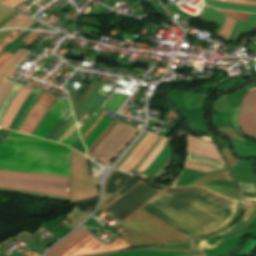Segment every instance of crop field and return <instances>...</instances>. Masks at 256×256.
<instances>
[{"instance_id": "7", "label": "crop field", "mask_w": 256, "mask_h": 256, "mask_svg": "<svg viewBox=\"0 0 256 256\" xmlns=\"http://www.w3.org/2000/svg\"><path fill=\"white\" fill-rule=\"evenodd\" d=\"M137 131L138 129L121 124L116 132L99 148L91 159L108 165L133 138Z\"/></svg>"}, {"instance_id": "27", "label": "crop field", "mask_w": 256, "mask_h": 256, "mask_svg": "<svg viewBox=\"0 0 256 256\" xmlns=\"http://www.w3.org/2000/svg\"><path fill=\"white\" fill-rule=\"evenodd\" d=\"M238 110H239V107L230 111L229 114H230V119H231V122H232L235 130L239 134V131H238V128H237V125H236V115H237Z\"/></svg>"}, {"instance_id": "37", "label": "crop field", "mask_w": 256, "mask_h": 256, "mask_svg": "<svg viewBox=\"0 0 256 256\" xmlns=\"http://www.w3.org/2000/svg\"><path fill=\"white\" fill-rule=\"evenodd\" d=\"M13 54H9L1 63L0 68L3 66V64L12 56Z\"/></svg>"}, {"instance_id": "41", "label": "crop field", "mask_w": 256, "mask_h": 256, "mask_svg": "<svg viewBox=\"0 0 256 256\" xmlns=\"http://www.w3.org/2000/svg\"><path fill=\"white\" fill-rule=\"evenodd\" d=\"M3 53H4V52H3V51H1V52H0V56H1Z\"/></svg>"}, {"instance_id": "24", "label": "crop field", "mask_w": 256, "mask_h": 256, "mask_svg": "<svg viewBox=\"0 0 256 256\" xmlns=\"http://www.w3.org/2000/svg\"><path fill=\"white\" fill-rule=\"evenodd\" d=\"M80 139L78 131L76 130L75 132H73L69 138L63 142V144H66L68 146H72L74 143H76L78 140Z\"/></svg>"}, {"instance_id": "26", "label": "crop field", "mask_w": 256, "mask_h": 256, "mask_svg": "<svg viewBox=\"0 0 256 256\" xmlns=\"http://www.w3.org/2000/svg\"><path fill=\"white\" fill-rule=\"evenodd\" d=\"M42 94V92L39 91V93L36 95V97L33 99V101L31 102V104L29 105V107L27 108L25 114L23 115L16 131H18L19 127L21 126L22 122L24 121L25 117L27 116L29 110L31 109V107L34 105V103L36 102V100L40 97V95Z\"/></svg>"}, {"instance_id": "11", "label": "crop field", "mask_w": 256, "mask_h": 256, "mask_svg": "<svg viewBox=\"0 0 256 256\" xmlns=\"http://www.w3.org/2000/svg\"><path fill=\"white\" fill-rule=\"evenodd\" d=\"M158 136L147 133L146 136L141 140L137 147L132 153L126 158V160L120 165L118 170L129 171L135 164L143 157L146 151L152 146Z\"/></svg>"}, {"instance_id": "4", "label": "crop field", "mask_w": 256, "mask_h": 256, "mask_svg": "<svg viewBox=\"0 0 256 256\" xmlns=\"http://www.w3.org/2000/svg\"><path fill=\"white\" fill-rule=\"evenodd\" d=\"M130 246L132 245L120 238L106 245L96 240L95 237L82 228H79L68 238L52 248L46 256H87L122 250Z\"/></svg>"}, {"instance_id": "6", "label": "crop field", "mask_w": 256, "mask_h": 256, "mask_svg": "<svg viewBox=\"0 0 256 256\" xmlns=\"http://www.w3.org/2000/svg\"><path fill=\"white\" fill-rule=\"evenodd\" d=\"M158 192L141 181L103 212L122 221Z\"/></svg>"}, {"instance_id": "42", "label": "crop field", "mask_w": 256, "mask_h": 256, "mask_svg": "<svg viewBox=\"0 0 256 256\" xmlns=\"http://www.w3.org/2000/svg\"><path fill=\"white\" fill-rule=\"evenodd\" d=\"M3 0H0V2H2Z\"/></svg>"}, {"instance_id": "20", "label": "crop field", "mask_w": 256, "mask_h": 256, "mask_svg": "<svg viewBox=\"0 0 256 256\" xmlns=\"http://www.w3.org/2000/svg\"><path fill=\"white\" fill-rule=\"evenodd\" d=\"M235 22H236L235 20L226 18L221 30L218 32V35L223 36L225 39L228 40Z\"/></svg>"}, {"instance_id": "32", "label": "crop field", "mask_w": 256, "mask_h": 256, "mask_svg": "<svg viewBox=\"0 0 256 256\" xmlns=\"http://www.w3.org/2000/svg\"><path fill=\"white\" fill-rule=\"evenodd\" d=\"M105 113V111L103 110L99 119L95 122V124L86 132V134L81 138L82 141L85 139V137L90 133V131L96 126V124L100 121L101 117L103 116V114Z\"/></svg>"}, {"instance_id": "40", "label": "crop field", "mask_w": 256, "mask_h": 256, "mask_svg": "<svg viewBox=\"0 0 256 256\" xmlns=\"http://www.w3.org/2000/svg\"><path fill=\"white\" fill-rule=\"evenodd\" d=\"M8 55V53H4L1 57H0V62Z\"/></svg>"}, {"instance_id": "28", "label": "crop field", "mask_w": 256, "mask_h": 256, "mask_svg": "<svg viewBox=\"0 0 256 256\" xmlns=\"http://www.w3.org/2000/svg\"><path fill=\"white\" fill-rule=\"evenodd\" d=\"M101 112V109H99L96 116L89 122V124L80 132L81 136L93 125V123L97 120L99 114Z\"/></svg>"}, {"instance_id": "13", "label": "crop field", "mask_w": 256, "mask_h": 256, "mask_svg": "<svg viewBox=\"0 0 256 256\" xmlns=\"http://www.w3.org/2000/svg\"><path fill=\"white\" fill-rule=\"evenodd\" d=\"M70 107L69 100L65 103L57 101L56 104L52 107L47 117L38 127L34 136L43 138L49 128L53 125V123L61 116V114Z\"/></svg>"}, {"instance_id": "10", "label": "crop field", "mask_w": 256, "mask_h": 256, "mask_svg": "<svg viewBox=\"0 0 256 256\" xmlns=\"http://www.w3.org/2000/svg\"><path fill=\"white\" fill-rule=\"evenodd\" d=\"M187 139L199 142V143H196V142L187 141V151H190V152L195 151V152L219 155V153L216 150L214 144L206 143V142H203V141H200L198 139H195V138H192V137H188V136H187ZM219 159H220L222 164H221V166L219 168H216V169L205 167V166H201V165H197V164H193V163H189V162L186 163L185 167L186 168L195 169V170L210 172V171H213V170L220 169L224 165V163H223L222 159L220 158V156H219ZM188 161H190V160H188Z\"/></svg>"}, {"instance_id": "30", "label": "crop field", "mask_w": 256, "mask_h": 256, "mask_svg": "<svg viewBox=\"0 0 256 256\" xmlns=\"http://www.w3.org/2000/svg\"><path fill=\"white\" fill-rule=\"evenodd\" d=\"M13 12L9 11V10H5V9H0V22L5 19L6 17H8L9 15H11Z\"/></svg>"}, {"instance_id": "19", "label": "crop field", "mask_w": 256, "mask_h": 256, "mask_svg": "<svg viewBox=\"0 0 256 256\" xmlns=\"http://www.w3.org/2000/svg\"><path fill=\"white\" fill-rule=\"evenodd\" d=\"M35 20L24 17L20 14L15 16L12 20L6 23L3 27H24L28 28L31 24H33ZM1 27V28H3Z\"/></svg>"}, {"instance_id": "1", "label": "crop field", "mask_w": 256, "mask_h": 256, "mask_svg": "<svg viewBox=\"0 0 256 256\" xmlns=\"http://www.w3.org/2000/svg\"><path fill=\"white\" fill-rule=\"evenodd\" d=\"M0 169L70 177V149L8 131L0 144Z\"/></svg>"}, {"instance_id": "36", "label": "crop field", "mask_w": 256, "mask_h": 256, "mask_svg": "<svg viewBox=\"0 0 256 256\" xmlns=\"http://www.w3.org/2000/svg\"><path fill=\"white\" fill-rule=\"evenodd\" d=\"M40 33L36 32L26 43L29 45Z\"/></svg>"}, {"instance_id": "17", "label": "crop field", "mask_w": 256, "mask_h": 256, "mask_svg": "<svg viewBox=\"0 0 256 256\" xmlns=\"http://www.w3.org/2000/svg\"><path fill=\"white\" fill-rule=\"evenodd\" d=\"M204 5L225 8V9H231V10H237V11L256 13V7H253V6L227 4V3L215 2V1H210V0H204Z\"/></svg>"}, {"instance_id": "14", "label": "crop field", "mask_w": 256, "mask_h": 256, "mask_svg": "<svg viewBox=\"0 0 256 256\" xmlns=\"http://www.w3.org/2000/svg\"><path fill=\"white\" fill-rule=\"evenodd\" d=\"M27 87L23 86L21 88V90L17 93L15 98L13 99L12 103L8 107V109H7L5 115H4V117H3V119L0 123L1 127H4L6 129L9 128V126H10L17 110L19 109L20 105L22 104V102L24 101L26 96L30 93V91L32 90V89L27 88Z\"/></svg>"}, {"instance_id": "2", "label": "crop field", "mask_w": 256, "mask_h": 256, "mask_svg": "<svg viewBox=\"0 0 256 256\" xmlns=\"http://www.w3.org/2000/svg\"><path fill=\"white\" fill-rule=\"evenodd\" d=\"M162 193L199 194L237 208L236 202L218 196L207 190L196 188H164L161 193L154 196L128 218L119 223L120 225L130 230L122 239L132 245H154L191 239L190 237L186 236L185 234L181 233L180 231L176 230L175 228L171 227L162 220L142 209Z\"/></svg>"}, {"instance_id": "31", "label": "crop field", "mask_w": 256, "mask_h": 256, "mask_svg": "<svg viewBox=\"0 0 256 256\" xmlns=\"http://www.w3.org/2000/svg\"><path fill=\"white\" fill-rule=\"evenodd\" d=\"M74 119L62 130V132L55 138V142L59 140V138L65 133V131L74 123Z\"/></svg>"}, {"instance_id": "33", "label": "crop field", "mask_w": 256, "mask_h": 256, "mask_svg": "<svg viewBox=\"0 0 256 256\" xmlns=\"http://www.w3.org/2000/svg\"><path fill=\"white\" fill-rule=\"evenodd\" d=\"M15 30L12 31H4V32H0V42L7 37L9 34H11L12 32H14Z\"/></svg>"}, {"instance_id": "25", "label": "crop field", "mask_w": 256, "mask_h": 256, "mask_svg": "<svg viewBox=\"0 0 256 256\" xmlns=\"http://www.w3.org/2000/svg\"><path fill=\"white\" fill-rule=\"evenodd\" d=\"M216 1L256 6V1H248V0H216Z\"/></svg>"}, {"instance_id": "15", "label": "crop field", "mask_w": 256, "mask_h": 256, "mask_svg": "<svg viewBox=\"0 0 256 256\" xmlns=\"http://www.w3.org/2000/svg\"><path fill=\"white\" fill-rule=\"evenodd\" d=\"M254 27L256 28V14L251 13L246 23L238 21L236 22L230 39L235 42L236 39L239 37L241 30L251 32Z\"/></svg>"}, {"instance_id": "23", "label": "crop field", "mask_w": 256, "mask_h": 256, "mask_svg": "<svg viewBox=\"0 0 256 256\" xmlns=\"http://www.w3.org/2000/svg\"><path fill=\"white\" fill-rule=\"evenodd\" d=\"M26 30H17L14 33H12L11 35H9L6 39H4L1 43H0V51L2 50V48L7 45L9 42H11L12 40H14L16 37H18L19 35H21L23 32H25Z\"/></svg>"}, {"instance_id": "22", "label": "crop field", "mask_w": 256, "mask_h": 256, "mask_svg": "<svg viewBox=\"0 0 256 256\" xmlns=\"http://www.w3.org/2000/svg\"><path fill=\"white\" fill-rule=\"evenodd\" d=\"M220 11H222L226 15H228L236 20L243 21V22L246 21L248 15H249V13L236 12V11H227V10H220Z\"/></svg>"}, {"instance_id": "29", "label": "crop field", "mask_w": 256, "mask_h": 256, "mask_svg": "<svg viewBox=\"0 0 256 256\" xmlns=\"http://www.w3.org/2000/svg\"><path fill=\"white\" fill-rule=\"evenodd\" d=\"M119 123H117V125L110 131V133L108 134V136L99 144V146L93 151L91 152L88 157L90 158L97 150L98 148L106 141V139L119 127Z\"/></svg>"}, {"instance_id": "12", "label": "crop field", "mask_w": 256, "mask_h": 256, "mask_svg": "<svg viewBox=\"0 0 256 256\" xmlns=\"http://www.w3.org/2000/svg\"><path fill=\"white\" fill-rule=\"evenodd\" d=\"M30 54L25 50L18 53L6 69L0 74V104L5 99L6 95L13 87L15 82L6 80L10 73Z\"/></svg>"}, {"instance_id": "35", "label": "crop field", "mask_w": 256, "mask_h": 256, "mask_svg": "<svg viewBox=\"0 0 256 256\" xmlns=\"http://www.w3.org/2000/svg\"><path fill=\"white\" fill-rule=\"evenodd\" d=\"M113 123H114V121H112V122L109 124L108 128H109ZM108 128H107V129H108ZM107 129L102 132L101 136L89 147V149L87 150V152L96 144V142L102 137V135L107 131Z\"/></svg>"}, {"instance_id": "18", "label": "crop field", "mask_w": 256, "mask_h": 256, "mask_svg": "<svg viewBox=\"0 0 256 256\" xmlns=\"http://www.w3.org/2000/svg\"><path fill=\"white\" fill-rule=\"evenodd\" d=\"M110 120L102 118L95 129L88 135V137L83 141L86 148H88L100 135V133L105 130L110 123Z\"/></svg>"}, {"instance_id": "34", "label": "crop field", "mask_w": 256, "mask_h": 256, "mask_svg": "<svg viewBox=\"0 0 256 256\" xmlns=\"http://www.w3.org/2000/svg\"><path fill=\"white\" fill-rule=\"evenodd\" d=\"M22 49H19L5 64L4 66L0 69V73L5 69V67L10 63V61L13 59V57Z\"/></svg>"}, {"instance_id": "38", "label": "crop field", "mask_w": 256, "mask_h": 256, "mask_svg": "<svg viewBox=\"0 0 256 256\" xmlns=\"http://www.w3.org/2000/svg\"><path fill=\"white\" fill-rule=\"evenodd\" d=\"M75 126H76V124H74L73 126H71V127L67 130V132H66L64 135H66L68 132H70ZM64 135H63V136H64ZM63 136H62V137H63ZM62 137H61V139H62ZM61 139H60V140H61ZM60 140H59V141H60ZM59 141H58V143H59Z\"/></svg>"}, {"instance_id": "3", "label": "crop field", "mask_w": 256, "mask_h": 256, "mask_svg": "<svg viewBox=\"0 0 256 256\" xmlns=\"http://www.w3.org/2000/svg\"><path fill=\"white\" fill-rule=\"evenodd\" d=\"M0 187L69 197V178L0 170Z\"/></svg>"}, {"instance_id": "8", "label": "crop field", "mask_w": 256, "mask_h": 256, "mask_svg": "<svg viewBox=\"0 0 256 256\" xmlns=\"http://www.w3.org/2000/svg\"><path fill=\"white\" fill-rule=\"evenodd\" d=\"M240 130L256 139V90L245 97L238 116Z\"/></svg>"}, {"instance_id": "16", "label": "crop field", "mask_w": 256, "mask_h": 256, "mask_svg": "<svg viewBox=\"0 0 256 256\" xmlns=\"http://www.w3.org/2000/svg\"><path fill=\"white\" fill-rule=\"evenodd\" d=\"M199 17H201L203 21H208V22H213V23H218V24L223 19L221 24L217 28L216 32L214 33V35H216V33L221 28L226 16H224L223 14H221L220 12H218L215 9L204 7L203 10L201 11V13L199 14Z\"/></svg>"}, {"instance_id": "5", "label": "crop field", "mask_w": 256, "mask_h": 256, "mask_svg": "<svg viewBox=\"0 0 256 256\" xmlns=\"http://www.w3.org/2000/svg\"><path fill=\"white\" fill-rule=\"evenodd\" d=\"M97 180L90 177L88 158L71 150V202L98 197Z\"/></svg>"}, {"instance_id": "21", "label": "crop field", "mask_w": 256, "mask_h": 256, "mask_svg": "<svg viewBox=\"0 0 256 256\" xmlns=\"http://www.w3.org/2000/svg\"><path fill=\"white\" fill-rule=\"evenodd\" d=\"M165 140H169V138H165L161 141V143L158 145V147L155 149V151L152 153V155L149 157V159L145 162V164L140 168L141 171H145L146 168L153 162V160L157 157V155L160 153V151L163 149L162 144Z\"/></svg>"}, {"instance_id": "9", "label": "crop field", "mask_w": 256, "mask_h": 256, "mask_svg": "<svg viewBox=\"0 0 256 256\" xmlns=\"http://www.w3.org/2000/svg\"><path fill=\"white\" fill-rule=\"evenodd\" d=\"M55 99V96H51L48 94L43 93L41 97L37 100L33 108L31 109L30 113L28 114L25 122L19 129V132L31 135L33 129L35 128L37 122L44 114L46 109Z\"/></svg>"}, {"instance_id": "39", "label": "crop field", "mask_w": 256, "mask_h": 256, "mask_svg": "<svg viewBox=\"0 0 256 256\" xmlns=\"http://www.w3.org/2000/svg\"><path fill=\"white\" fill-rule=\"evenodd\" d=\"M35 32L30 33L28 36H26L24 39L25 42L34 34Z\"/></svg>"}]
</instances>
